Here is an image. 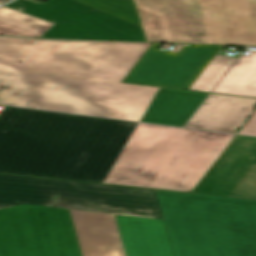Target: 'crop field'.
<instances>
[{"mask_svg": "<svg viewBox=\"0 0 256 256\" xmlns=\"http://www.w3.org/2000/svg\"><path fill=\"white\" fill-rule=\"evenodd\" d=\"M234 137L4 106L0 173L190 192Z\"/></svg>", "mask_w": 256, "mask_h": 256, "instance_id": "crop-field-1", "label": "crop field"}, {"mask_svg": "<svg viewBox=\"0 0 256 256\" xmlns=\"http://www.w3.org/2000/svg\"><path fill=\"white\" fill-rule=\"evenodd\" d=\"M150 45L0 37V104L140 122L158 88L121 83Z\"/></svg>", "mask_w": 256, "mask_h": 256, "instance_id": "crop-field-2", "label": "crop field"}, {"mask_svg": "<svg viewBox=\"0 0 256 256\" xmlns=\"http://www.w3.org/2000/svg\"><path fill=\"white\" fill-rule=\"evenodd\" d=\"M42 206L164 220L175 256H256V201L81 192L67 181L0 174V208Z\"/></svg>", "mask_w": 256, "mask_h": 256, "instance_id": "crop-field-3", "label": "crop field"}, {"mask_svg": "<svg viewBox=\"0 0 256 256\" xmlns=\"http://www.w3.org/2000/svg\"><path fill=\"white\" fill-rule=\"evenodd\" d=\"M143 29L147 42L256 46V0H77Z\"/></svg>", "mask_w": 256, "mask_h": 256, "instance_id": "crop-field-4", "label": "crop field"}, {"mask_svg": "<svg viewBox=\"0 0 256 256\" xmlns=\"http://www.w3.org/2000/svg\"><path fill=\"white\" fill-rule=\"evenodd\" d=\"M0 256H80L68 211L29 204L0 209Z\"/></svg>", "mask_w": 256, "mask_h": 256, "instance_id": "crop-field-5", "label": "crop field"}, {"mask_svg": "<svg viewBox=\"0 0 256 256\" xmlns=\"http://www.w3.org/2000/svg\"><path fill=\"white\" fill-rule=\"evenodd\" d=\"M6 7L55 23L40 38L146 42L141 28L73 0H19Z\"/></svg>", "mask_w": 256, "mask_h": 256, "instance_id": "crop-field-6", "label": "crop field"}, {"mask_svg": "<svg viewBox=\"0 0 256 256\" xmlns=\"http://www.w3.org/2000/svg\"><path fill=\"white\" fill-rule=\"evenodd\" d=\"M152 44L124 82L188 89L222 46L184 45L179 54Z\"/></svg>", "mask_w": 256, "mask_h": 256, "instance_id": "crop-field-7", "label": "crop field"}, {"mask_svg": "<svg viewBox=\"0 0 256 256\" xmlns=\"http://www.w3.org/2000/svg\"><path fill=\"white\" fill-rule=\"evenodd\" d=\"M255 163L256 138L236 136L192 192L228 196Z\"/></svg>", "mask_w": 256, "mask_h": 256, "instance_id": "crop-field-8", "label": "crop field"}, {"mask_svg": "<svg viewBox=\"0 0 256 256\" xmlns=\"http://www.w3.org/2000/svg\"><path fill=\"white\" fill-rule=\"evenodd\" d=\"M68 211L81 256H125L112 215Z\"/></svg>", "mask_w": 256, "mask_h": 256, "instance_id": "crop-field-9", "label": "crop field"}, {"mask_svg": "<svg viewBox=\"0 0 256 256\" xmlns=\"http://www.w3.org/2000/svg\"><path fill=\"white\" fill-rule=\"evenodd\" d=\"M113 216L126 256H174L163 221Z\"/></svg>", "mask_w": 256, "mask_h": 256, "instance_id": "crop-field-10", "label": "crop field"}, {"mask_svg": "<svg viewBox=\"0 0 256 256\" xmlns=\"http://www.w3.org/2000/svg\"><path fill=\"white\" fill-rule=\"evenodd\" d=\"M255 108L256 99L210 94L185 127L236 133Z\"/></svg>", "mask_w": 256, "mask_h": 256, "instance_id": "crop-field-11", "label": "crop field"}, {"mask_svg": "<svg viewBox=\"0 0 256 256\" xmlns=\"http://www.w3.org/2000/svg\"><path fill=\"white\" fill-rule=\"evenodd\" d=\"M207 95L159 88L142 121L183 126Z\"/></svg>", "mask_w": 256, "mask_h": 256, "instance_id": "crop-field-12", "label": "crop field"}, {"mask_svg": "<svg viewBox=\"0 0 256 256\" xmlns=\"http://www.w3.org/2000/svg\"><path fill=\"white\" fill-rule=\"evenodd\" d=\"M213 92L256 98V51L242 55Z\"/></svg>", "mask_w": 256, "mask_h": 256, "instance_id": "crop-field-13", "label": "crop field"}, {"mask_svg": "<svg viewBox=\"0 0 256 256\" xmlns=\"http://www.w3.org/2000/svg\"><path fill=\"white\" fill-rule=\"evenodd\" d=\"M234 61V58L216 55L189 89L210 92Z\"/></svg>", "mask_w": 256, "mask_h": 256, "instance_id": "crop-field-14", "label": "crop field"}, {"mask_svg": "<svg viewBox=\"0 0 256 256\" xmlns=\"http://www.w3.org/2000/svg\"><path fill=\"white\" fill-rule=\"evenodd\" d=\"M0 21L39 36L53 25V23L19 13L6 7L0 9Z\"/></svg>", "mask_w": 256, "mask_h": 256, "instance_id": "crop-field-15", "label": "crop field"}, {"mask_svg": "<svg viewBox=\"0 0 256 256\" xmlns=\"http://www.w3.org/2000/svg\"><path fill=\"white\" fill-rule=\"evenodd\" d=\"M70 183L73 184L78 189H80L81 191H91V192L129 193V194H148V195H172V196H196V197L213 196V195H204V194H195V193L185 194V193L152 191V190L83 184V183H73V182H70Z\"/></svg>", "mask_w": 256, "mask_h": 256, "instance_id": "crop-field-16", "label": "crop field"}, {"mask_svg": "<svg viewBox=\"0 0 256 256\" xmlns=\"http://www.w3.org/2000/svg\"><path fill=\"white\" fill-rule=\"evenodd\" d=\"M229 196L256 199V164L245 174Z\"/></svg>", "mask_w": 256, "mask_h": 256, "instance_id": "crop-field-17", "label": "crop field"}, {"mask_svg": "<svg viewBox=\"0 0 256 256\" xmlns=\"http://www.w3.org/2000/svg\"><path fill=\"white\" fill-rule=\"evenodd\" d=\"M0 34L3 35H18V36H29V37H35L38 38L39 36L32 35L26 32H23L21 30H18L16 28H13L11 26H8L6 24H3L0 22Z\"/></svg>", "mask_w": 256, "mask_h": 256, "instance_id": "crop-field-18", "label": "crop field"}, {"mask_svg": "<svg viewBox=\"0 0 256 256\" xmlns=\"http://www.w3.org/2000/svg\"><path fill=\"white\" fill-rule=\"evenodd\" d=\"M239 134L256 136V113L252 116Z\"/></svg>", "mask_w": 256, "mask_h": 256, "instance_id": "crop-field-19", "label": "crop field"}, {"mask_svg": "<svg viewBox=\"0 0 256 256\" xmlns=\"http://www.w3.org/2000/svg\"><path fill=\"white\" fill-rule=\"evenodd\" d=\"M6 1H8V0H0V4L4 3Z\"/></svg>", "mask_w": 256, "mask_h": 256, "instance_id": "crop-field-20", "label": "crop field"}]
</instances>
